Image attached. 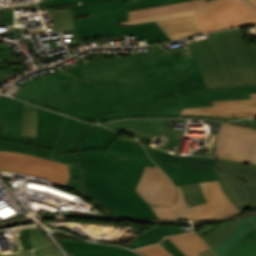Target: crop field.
<instances>
[{
	"label": "crop field",
	"instance_id": "ae1a2a85",
	"mask_svg": "<svg viewBox=\"0 0 256 256\" xmlns=\"http://www.w3.org/2000/svg\"><path fill=\"white\" fill-rule=\"evenodd\" d=\"M37 108L23 103L21 135L36 137Z\"/></svg>",
	"mask_w": 256,
	"mask_h": 256
},
{
	"label": "crop field",
	"instance_id": "214f88e0",
	"mask_svg": "<svg viewBox=\"0 0 256 256\" xmlns=\"http://www.w3.org/2000/svg\"><path fill=\"white\" fill-rule=\"evenodd\" d=\"M22 120V103L9 99L7 97H0V124L4 125L3 131L6 133H13L20 135Z\"/></svg>",
	"mask_w": 256,
	"mask_h": 256
},
{
	"label": "crop field",
	"instance_id": "120bbe31",
	"mask_svg": "<svg viewBox=\"0 0 256 256\" xmlns=\"http://www.w3.org/2000/svg\"><path fill=\"white\" fill-rule=\"evenodd\" d=\"M159 219H168V220H179L174 212V208L169 207H158L151 206Z\"/></svg>",
	"mask_w": 256,
	"mask_h": 256
},
{
	"label": "crop field",
	"instance_id": "a9b5d70f",
	"mask_svg": "<svg viewBox=\"0 0 256 256\" xmlns=\"http://www.w3.org/2000/svg\"><path fill=\"white\" fill-rule=\"evenodd\" d=\"M252 228L256 229V216L241 219L236 228L223 241L212 247V250L216 253L217 256L225 254Z\"/></svg>",
	"mask_w": 256,
	"mask_h": 256
},
{
	"label": "crop field",
	"instance_id": "d3111659",
	"mask_svg": "<svg viewBox=\"0 0 256 256\" xmlns=\"http://www.w3.org/2000/svg\"><path fill=\"white\" fill-rule=\"evenodd\" d=\"M110 148L117 149L126 153H130L151 161V159L147 156L144 148L137 141L117 138L112 143Z\"/></svg>",
	"mask_w": 256,
	"mask_h": 256
},
{
	"label": "crop field",
	"instance_id": "e52e79f7",
	"mask_svg": "<svg viewBox=\"0 0 256 256\" xmlns=\"http://www.w3.org/2000/svg\"><path fill=\"white\" fill-rule=\"evenodd\" d=\"M145 148L149 156L168 174L175 185L220 179L213 171L217 158L176 156L148 146Z\"/></svg>",
	"mask_w": 256,
	"mask_h": 256
},
{
	"label": "crop field",
	"instance_id": "eef30255",
	"mask_svg": "<svg viewBox=\"0 0 256 256\" xmlns=\"http://www.w3.org/2000/svg\"><path fill=\"white\" fill-rule=\"evenodd\" d=\"M256 254V230L252 229L224 256H253Z\"/></svg>",
	"mask_w": 256,
	"mask_h": 256
},
{
	"label": "crop field",
	"instance_id": "5866460e",
	"mask_svg": "<svg viewBox=\"0 0 256 256\" xmlns=\"http://www.w3.org/2000/svg\"><path fill=\"white\" fill-rule=\"evenodd\" d=\"M106 1V0H46L45 6L67 5L85 2Z\"/></svg>",
	"mask_w": 256,
	"mask_h": 256
},
{
	"label": "crop field",
	"instance_id": "4177f3b9",
	"mask_svg": "<svg viewBox=\"0 0 256 256\" xmlns=\"http://www.w3.org/2000/svg\"><path fill=\"white\" fill-rule=\"evenodd\" d=\"M250 139L248 137L226 134L221 158L244 162Z\"/></svg>",
	"mask_w": 256,
	"mask_h": 256
},
{
	"label": "crop field",
	"instance_id": "412701ff",
	"mask_svg": "<svg viewBox=\"0 0 256 256\" xmlns=\"http://www.w3.org/2000/svg\"><path fill=\"white\" fill-rule=\"evenodd\" d=\"M194 9L205 34L231 27L256 24V9L242 0H194L168 6L128 12L129 20ZM199 35V34H196ZM194 36V35H193Z\"/></svg>",
	"mask_w": 256,
	"mask_h": 256
},
{
	"label": "crop field",
	"instance_id": "00972430",
	"mask_svg": "<svg viewBox=\"0 0 256 256\" xmlns=\"http://www.w3.org/2000/svg\"><path fill=\"white\" fill-rule=\"evenodd\" d=\"M167 238L172 243H174L187 256H199L197 254L198 252L208 248L205 242L199 236H197L193 231L185 232L178 235L168 236ZM142 250L136 249L135 251L145 256H152Z\"/></svg>",
	"mask_w": 256,
	"mask_h": 256
},
{
	"label": "crop field",
	"instance_id": "e1f06a70",
	"mask_svg": "<svg viewBox=\"0 0 256 256\" xmlns=\"http://www.w3.org/2000/svg\"><path fill=\"white\" fill-rule=\"evenodd\" d=\"M180 117H198V118L225 120V121H229L232 119L249 118V117H219V116H203V115H181Z\"/></svg>",
	"mask_w": 256,
	"mask_h": 256
},
{
	"label": "crop field",
	"instance_id": "c21b1889",
	"mask_svg": "<svg viewBox=\"0 0 256 256\" xmlns=\"http://www.w3.org/2000/svg\"><path fill=\"white\" fill-rule=\"evenodd\" d=\"M199 255H200V256H215V255L213 254V252L210 250V248L207 249V250H205V251H203V252H201V253H199Z\"/></svg>",
	"mask_w": 256,
	"mask_h": 256
},
{
	"label": "crop field",
	"instance_id": "28ad6ade",
	"mask_svg": "<svg viewBox=\"0 0 256 256\" xmlns=\"http://www.w3.org/2000/svg\"><path fill=\"white\" fill-rule=\"evenodd\" d=\"M119 84L88 83L75 78L66 104L69 112L119 104Z\"/></svg>",
	"mask_w": 256,
	"mask_h": 256
},
{
	"label": "crop field",
	"instance_id": "5142ce71",
	"mask_svg": "<svg viewBox=\"0 0 256 256\" xmlns=\"http://www.w3.org/2000/svg\"><path fill=\"white\" fill-rule=\"evenodd\" d=\"M168 120L134 119L108 123V127L136 137L152 140L155 129H166Z\"/></svg>",
	"mask_w": 256,
	"mask_h": 256
},
{
	"label": "crop field",
	"instance_id": "03da06ac",
	"mask_svg": "<svg viewBox=\"0 0 256 256\" xmlns=\"http://www.w3.org/2000/svg\"><path fill=\"white\" fill-rule=\"evenodd\" d=\"M249 46H250L252 54L256 60V45H249Z\"/></svg>",
	"mask_w": 256,
	"mask_h": 256
},
{
	"label": "crop field",
	"instance_id": "cbeb9de0",
	"mask_svg": "<svg viewBox=\"0 0 256 256\" xmlns=\"http://www.w3.org/2000/svg\"><path fill=\"white\" fill-rule=\"evenodd\" d=\"M249 95L251 99L213 102L214 106L184 109L182 114L256 117V93Z\"/></svg>",
	"mask_w": 256,
	"mask_h": 256
},
{
	"label": "crop field",
	"instance_id": "0bd39190",
	"mask_svg": "<svg viewBox=\"0 0 256 256\" xmlns=\"http://www.w3.org/2000/svg\"><path fill=\"white\" fill-rule=\"evenodd\" d=\"M124 1H126V0H114V1H106V2L76 4V5H71V8L75 9V8L85 7V6L102 5V4H107V3H117V2H124Z\"/></svg>",
	"mask_w": 256,
	"mask_h": 256
},
{
	"label": "crop field",
	"instance_id": "f4fd0767",
	"mask_svg": "<svg viewBox=\"0 0 256 256\" xmlns=\"http://www.w3.org/2000/svg\"><path fill=\"white\" fill-rule=\"evenodd\" d=\"M256 92V84L207 90L206 85L178 90V100L156 104L137 109L121 116V119L132 117H177L181 108H192L212 105L211 101L250 98L248 93Z\"/></svg>",
	"mask_w": 256,
	"mask_h": 256
},
{
	"label": "crop field",
	"instance_id": "3316defc",
	"mask_svg": "<svg viewBox=\"0 0 256 256\" xmlns=\"http://www.w3.org/2000/svg\"><path fill=\"white\" fill-rule=\"evenodd\" d=\"M208 203L188 208L180 187L179 198L176 203V213L187 217H202V220L224 218L241 213L229 200L218 181L199 183Z\"/></svg>",
	"mask_w": 256,
	"mask_h": 256
},
{
	"label": "crop field",
	"instance_id": "028f5c9d",
	"mask_svg": "<svg viewBox=\"0 0 256 256\" xmlns=\"http://www.w3.org/2000/svg\"><path fill=\"white\" fill-rule=\"evenodd\" d=\"M144 251L154 255V256H172L169 252L163 249L159 244L141 248Z\"/></svg>",
	"mask_w": 256,
	"mask_h": 256
},
{
	"label": "crop field",
	"instance_id": "d8731c3e",
	"mask_svg": "<svg viewBox=\"0 0 256 256\" xmlns=\"http://www.w3.org/2000/svg\"><path fill=\"white\" fill-rule=\"evenodd\" d=\"M214 171L224 191L241 211L256 208V165L219 159Z\"/></svg>",
	"mask_w": 256,
	"mask_h": 256
},
{
	"label": "crop field",
	"instance_id": "b54c1fbb",
	"mask_svg": "<svg viewBox=\"0 0 256 256\" xmlns=\"http://www.w3.org/2000/svg\"><path fill=\"white\" fill-rule=\"evenodd\" d=\"M246 2L256 7V0H247Z\"/></svg>",
	"mask_w": 256,
	"mask_h": 256
},
{
	"label": "crop field",
	"instance_id": "750c4746",
	"mask_svg": "<svg viewBox=\"0 0 256 256\" xmlns=\"http://www.w3.org/2000/svg\"><path fill=\"white\" fill-rule=\"evenodd\" d=\"M54 27L57 32L73 31V21L70 16L69 9L50 10Z\"/></svg>",
	"mask_w": 256,
	"mask_h": 256
},
{
	"label": "crop field",
	"instance_id": "dd49c442",
	"mask_svg": "<svg viewBox=\"0 0 256 256\" xmlns=\"http://www.w3.org/2000/svg\"><path fill=\"white\" fill-rule=\"evenodd\" d=\"M71 16L78 38L137 35L138 38L146 37L147 44L168 41L155 22L119 26L120 21L128 20L127 10L77 20L71 11Z\"/></svg>",
	"mask_w": 256,
	"mask_h": 256
},
{
	"label": "crop field",
	"instance_id": "4a817a6b",
	"mask_svg": "<svg viewBox=\"0 0 256 256\" xmlns=\"http://www.w3.org/2000/svg\"><path fill=\"white\" fill-rule=\"evenodd\" d=\"M17 241L15 251L0 256H33L32 249L49 243L37 225L17 228Z\"/></svg>",
	"mask_w": 256,
	"mask_h": 256
},
{
	"label": "crop field",
	"instance_id": "22f410ed",
	"mask_svg": "<svg viewBox=\"0 0 256 256\" xmlns=\"http://www.w3.org/2000/svg\"><path fill=\"white\" fill-rule=\"evenodd\" d=\"M151 21H156L171 40L202 32L193 10L141 20L125 21L119 24L127 25Z\"/></svg>",
	"mask_w": 256,
	"mask_h": 256
},
{
	"label": "crop field",
	"instance_id": "bc2a9ffb",
	"mask_svg": "<svg viewBox=\"0 0 256 256\" xmlns=\"http://www.w3.org/2000/svg\"><path fill=\"white\" fill-rule=\"evenodd\" d=\"M71 256H138L126 249L77 241L62 240Z\"/></svg>",
	"mask_w": 256,
	"mask_h": 256
},
{
	"label": "crop field",
	"instance_id": "d32e631a",
	"mask_svg": "<svg viewBox=\"0 0 256 256\" xmlns=\"http://www.w3.org/2000/svg\"><path fill=\"white\" fill-rule=\"evenodd\" d=\"M35 256H62L54 245H49L43 248L34 250Z\"/></svg>",
	"mask_w": 256,
	"mask_h": 256
},
{
	"label": "crop field",
	"instance_id": "ac0d7876",
	"mask_svg": "<svg viewBox=\"0 0 256 256\" xmlns=\"http://www.w3.org/2000/svg\"><path fill=\"white\" fill-rule=\"evenodd\" d=\"M2 127L0 150L66 163L70 178L65 188H84L115 216L158 219L134 190L144 166L155 164L110 148L71 153L82 142L88 124L38 108L37 138L1 133Z\"/></svg>",
	"mask_w": 256,
	"mask_h": 256
},
{
	"label": "crop field",
	"instance_id": "34b2d1b8",
	"mask_svg": "<svg viewBox=\"0 0 256 256\" xmlns=\"http://www.w3.org/2000/svg\"><path fill=\"white\" fill-rule=\"evenodd\" d=\"M188 43L208 89L256 83V62L249 46L244 44L240 28Z\"/></svg>",
	"mask_w": 256,
	"mask_h": 256
},
{
	"label": "crop field",
	"instance_id": "c035e120",
	"mask_svg": "<svg viewBox=\"0 0 256 256\" xmlns=\"http://www.w3.org/2000/svg\"><path fill=\"white\" fill-rule=\"evenodd\" d=\"M236 122L256 126V121H248V119L237 120Z\"/></svg>",
	"mask_w": 256,
	"mask_h": 256
},
{
	"label": "crop field",
	"instance_id": "5a996713",
	"mask_svg": "<svg viewBox=\"0 0 256 256\" xmlns=\"http://www.w3.org/2000/svg\"><path fill=\"white\" fill-rule=\"evenodd\" d=\"M0 169L45 177L59 186H64L69 177L66 164L16 152L0 151Z\"/></svg>",
	"mask_w": 256,
	"mask_h": 256
},
{
	"label": "crop field",
	"instance_id": "733c2abd",
	"mask_svg": "<svg viewBox=\"0 0 256 256\" xmlns=\"http://www.w3.org/2000/svg\"><path fill=\"white\" fill-rule=\"evenodd\" d=\"M154 226V225H153ZM181 229L172 226L155 225L142 236H140L135 242H133L129 248L135 249L155 243H159L163 248L169 251L174 256H186L175 245H173L165 236L181 233Z\"/></svg>",
	"mask_w": 256,
	"mask_h": 256
},
{
	"label": "crop field",
	"instance_id": "730fd06b",
	"mask_svg": "<svg viewBox=\"0 0 256 256\" xmlns=\"http://www.w3.org/2000/svg\"><path fill=\"white\" fill-rule=\"evenodd\" d=\"M239 221L240 219L215 226L204 227L203 229L199 230L198 233L211 247L224 239L235 228Z\"/></svg>",
	"mask_w": 256,
	"mask_h": 256
},
{
	"label": "crop field",
	"instance_id": "8a807250",
	"mask_svg": "<svg viewBox=\"0 0 256 256\" xmlns=\"http://www.w3.org/2000/svg\"><path fill=\"white\" fill-rule=\"evenodd\" d=\"M149 50L78 66L89 82L120 83V105L69 113L64 104L74 76L62 71L26 83L15 97L84 121L103 122L143 106L178 99L175 90L206 84L188 45L164 52L157 47Z\"/></svg>",
	"mask_w": 256,
	"mask_h": 256
},
{
	"label": "crop field",
	"instance_id": "d1516ede",
	"mask_svg": "<svg viewBox=\"0 0 256 256\" xmlns=\"http://www.w3.org/2000/svg\"><path fill=\"white\" fill-rule=\"evenodd\" d=\"M135 190L148 204L174 206L177 198L176 188L157 166L145 167Z\"/></svg>",
	"mask_w": 256,
	"mask_h": 256
},
{
	"label": "crop field",
	"instance_id": "dafd665d",
	"mask_svg": "<svg viewBox=\"0 0 256 256\" xmlns=\"http://www.w3.org/2000/svg\"><path fill=\"white\" fill-rule=\"evenodd\" d=\"M118 135L119 133L107 130L104 127L89 124L83 142L73 152L90 149H106Z\"/></svg>",
	"mask_w": 256,
	"mask_h": 256
},
{
	"label": "crop field",
	"instance_id": "1d83c4d3",
	"mask_svg": "<svg viewBox=\"0 0 256 256\" xmlns=\"http://www.w3.org/2000/svg\"><path fill=\"white\" fill-rule=\"evenodd\" d=\"M184 132L180 131H171V130H156L154 136H158L160 138L166 139L167 144L162 146L161 148L169 151L171 148L175 149L176 154L178 146L180 144L181 138Z\"/></svg>",
	"mask_w": 256,
	"mask_h": 256
},
{
	"label": "crop field",
	"instance_id": "d9b57169",
	"mask_svg": "<svg viewBox=\"0 0 256 256\" xmlns=\"http://www.w3.org/2000/svg\"><path fill=\"white\" fill-rule=\"evenodd\" d=\"M184 1H189V0H128V2H124V3L85 7V8L75 9L72 11L75 16L84 15V14H88V16H92V15L103 14V13H108L112 11L124 10V9H128V11H130V10H137V9L179 3Z\"/></svg>",
	"mask_w": 256,
	"mask_h": 256
},
{
	"label": "crop field",
	"instance_id": "b80d0937",
	"mask_svg": "<svg viewBox=\"0 0 256 256\" xmlns=\"http://www.w3.org/2000/svg\"><path fill=\"white\" fill-rule=\"evenodd\" d=\"M0 70H5V71H17L18 66H5V65H0Z\"/></svg>",
	"mask_w": 256,
	"mask_h": 256
},
{
	"label": "crop field",
	"instance_id": "bd1437ed",
	"mask_svg": "<svg viewBox=\"0 0 256 256\" xmlns=\"http://www.w3.org/2000/svg\"><path fill=\"white\" fill-rule=\"evenodd\" d=\"M180 187L189 207L206 202L198 183L183 185Z\"/></svg>",
	"mask_w": 256,
	"mask_h": 256
},
{
	"label": "crop field",
	"instance_id": "92a150f3",
	"mask_svg": "<svg viewBox=\"0 0 256 256\" xmlns=\"http://www.w3.org/2000/svg\"><path fill=\"white\" fill-rule=\"evenodd\" d=\"M226 133L252 137L246 162L256 164V130L247 128V127L238 126V125H233V124L222 123L218 132L215 151L213 156L215 157L221 156Z\"/></svg>",
	"mask_w": 256,
	"mask_h": 256
}]
</instances>
